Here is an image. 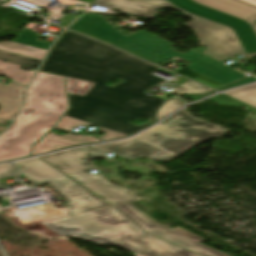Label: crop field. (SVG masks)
<instances>
[{"instance_id":"obj_25","label":"crop field","mask_w":256,"mask_h":256,"mask_svg":"<svg viewBox=\"0 0 256 256\" xmlns=\"http://www.w3.org/2000/svg\"><path fill=\"white\" fill-rule=\"evenodd\" d=\"M41 184H49L52 188H54L61 196H63L61 194V192L58 190V188L56 187V185L54 184L53 181H50V182H46V183H41ZM64 197V196H63ZM65 198V197H64ZM66 199V198H65ZM69 208V207H68Z\"/></svg>"},{"instance_id":"obj_24","label":"crop field","mask_w":256,"mask_h":256,"mask_svg":"<svg viewBox=\"0 0 256 256\" xmlns=\"http://www.w3.org/2000/svg\"><path fill=\"white\" fill-rule=\"evenodd\" d=\"M213 93H215V92H212V93H210V94H208V95H211V94H213ZM208 95H186V96H188V97H190L191 99L197 101V100H199V99H201V98H204V97H206V96H208Z\"/></svg>"},{"instance_id":"obj_10","label":"crop field","mask_w":256,"mask_h":256,"mask_svg":"<svg viewBox=\"0 0 256 256\" xmlns=\"http://www.w3.org/2000/svg\"><path fill=\"white\" fill-rule=\"evenodd\" d=\"M80 125L90 126L91 124L64 116L49 134H47L43 139H41L38 143L35 144L32 155L41 154L76 144L100 141L94 136L72 135L70 133L71 130ZM55 129L67 130L69 133L66 135L59 136L53 132ZM100 131L107 132L103 136H99V138L103 141L128 136L101 127Z\"/></svg>"},{"instance_id":"obj_28","label":"crop field","mask_w":256,"mask_h":256,"mask_svg":"<svg viewBox=\"0 0 256 256\" xmlns=\"http://www.w3.org/2000/svg\"><path fill=\"white\" fill-rule=\"evenodd\" d=\"M133 106H137V107H139V106H142V104H140L139 102L138 103H136L135 105H133Z\"/></svg>"},{"instance_id":"obj_9","label":"crop field","mask_w":256,"mask_h":256,"mask_svg":"<svg viewBox=\"0 0 256 256\" xmlns=\"http://www.w3.org/2000/svg\"><path fill=\"white\" fill-rule=\"evenodd\" d=\"M64 77L38 72L27 93V105L65 113L69 108Z\"/></svg>"},{"instance_id":"obj_29","label":"crop field","mask_w":256,"mask_h":256,"mask_svg":"<svg viewBox=\"0 0 256 256\" xmlns=\"http://www.w3.org/2000/svg\"><path fill=\"white\" fill-rule=\"evenodd\" d=\"M0 256H4V254L2 253V251L0 250Z\"/></svg>"},{"instance_id":"obj_16","label":"crop field","mask_w":256,"mask_h":256,"mask_svg":"<svg viewBox=\"0 0 256 256\" xmlns=\"http://www.w3.org/2000/svg\"><path fill=\"white\" fill-rule=\"evenodd\" d=\"M224 94L256 107V84L224 92Z\"/></svg>"},{"instance_id":"obj_12","label":"crop field","mask_w":256,"mask_h":256,"mask_svg":"<svg viewBox=\"0 0 256 256\" xmlns=\"http://www.w3.org/2000/svg\"><path fill=\"white\" fill-rule=\"evenodd\" d=\"M147 232L204 256H228L225 253L200 244L205 239L179 226L171 229L166 226L157 224Z\"/></svg>"},{"instance_id":"obj_18","label":"crop field","mask_w":256,"mask_h":256,"mask_svg":"<svg viewBox=\"0 0 256 256\" xmlns=\"http://www.w3.org/2000/svg\"><path fill=\"white\" fill-rule=\"evenodd\" d=\"M94 83L66 78V89L70 94L85 96Z\"/></svg>"},{"instance_id":"obj_5","label":"crop field","mask_w":256,"mask_h":256,"mask_svg":"<svg viewBox=\"0 0 256 256\" xmlns=\"http://www.w3.org/2000/svg\"><path fill=\"white\" fill-rule=\"evenodd\" d=\"M59 219L42 222L62 236L82 237L104 245L121 246L131 252L141 246L130 240L143 231L112 207L67 217V209L58 210Z\"/></svg>"},{"instance_id":"obj_20","label":"crop field","mask_w":256,"mask_h":256,"mask_svg":"<svg viewBox=\"0 0 256 256\" xmlns=\"http://www.w3.org/2000/svg\"><path fill=\"white\" fill-rule=\"evenodd\" d=\"M210 91L212 90L189 80L185 84L177 88L175 91H173V93L190 94V93H208Z\"/></svg>"},{"instance_id":"obj_2","label":"crop field","mask_w":256,"mask_h":256,"mask_svg":"<svg viewBox=\"0 0 256 256\" xmlns=\"http://www.w3.org/2000/svg\"><path fill=\"white\" fill-rule=\"evenodd\" d=\"M96 5L152 17L157 8L172 6L195 20L185 24L198 31L204 54L225 60L238 53L256 56V8L236 0H98Z\"/></svg>"},{"instance_id":"obj_23","label":"crop field","mask_w":256,"mask_h":256,"mask_svg":"<svg viewBox=\"0 0 256 256\" xmlns=\"http://www.w3.org/2000/svg\"><path fill=\"white\" fill-rule=\"evenodd\" d=\"M256 81V78L252 77V78H249V79H245V80H241L239 82H236L232 85H229L223 89H220L218 91H223V90H226V89H230V88H233V87H236V86H240V85H244V84H248V83H251V82H254Z\"/></svg>"},{"instance_id":"obj_14","label":"crop field","mask_w":256,"mask_h":256,"mask_svg":"<svg viewBox=\"0 0 256 256\" xmlns=\"http://www.w3.org/2000/svg\"><path fill=\"white\" fill-rule=\"evenodd\" d=\"M131 241L141 245L138 251L148 256H201L146 232Z\"/></svg>"},{"instance_id":"obj_8","label":"crop field","mask_w":256,"mask_h":256,"mask_svg":"<svg viewBox=\"0 0 256 256\" xmlns=\"http://www.w3.org/2000/svg\"><path fill=\"white\" fill-rule=\"evenodd\" d=\"M13 163L32 184L53 180L68 199V216L109 206L38 157Z\"/></svg>"},{"instance_id":"obj_21","label":"crop field","mask_w":256,"mask_h":256,"mask_svg":"<svg viewBox=\"0 0 256 256\" xmlns=\"http://www.w3.org/2000/svg\"><path fill=\"white\" fill-rule=\"evenodd\" d=\"M183 105L185 104H183L180 99L172 97L165 102L161 109L159 108L160 110L158 111L156 118L161 120L162 118Z\"/></svg>"},{"instance_id":"obj_6","label":"crop field","mask_w":256,"mask_h":256,"mask_svg":"<svg viewBox=\"0 0 256 256\" xmlns=\"http://www.w3.org/2000/svg\"><path fill=\"white\" fill-rule=\"evenodd\" d=\"M100 155H103V153L93 147H80L42 156L41 158L65 172L112 206L139 200L129 190L112 186L101 175L89 173L95 168L88 159Z\"/></svg>"},{"instance_id":"obj_13","label":"crop field","mask_w":256,"mask_h":256,"mask_svg":"<svg viewBox=\"0 0 256 256\" xmlns=\"http://www.w3.org/2000/svg\"><path fill=\"white\" fill-rule=\"evenodd\" d=\"M50 45L40 42L38 34L24 28L14 41L0 42V49L42 60Z\"/></svg>"},{"instance_id":"obj_11","label":"crop field","mask_w":256,"mask_h":256,"mask_svg":"<svg viewBox=\"0 0 256 256\" xmlns=\"http://www.w3.org/2000/svg\"><path fill=\"white\" fill-rule=\"evenodd\" d=\"M22 66L0 61V74L8 79L28 85L34 70L29 72L20 69ZM25 87L12 81L6 85L0 83V118L12 121L21 105Z\"/></svg>"},{"instance_id":"obj_19","label":"crop field","mask_w":256,"mask_h":256,"mask_svg":"<svg viewBox=\"0 0 256 256\" xmlns=\"http://www.w3.org/2000/svg\"><path fill=\"white\" fill-rule=\"evenodd\" d=\"M209 100L219 104V105H231V106H243L246 108V110L255 113L256 114V108H253L245 103H242L238 100H235L233 98L227 97L225 95L219 94L216 96H213L211 98H208Z\"/></svg>"},{"instance_id":"obj_7","label":"crop field","mask_w":256,"mask_h":256,"mask_svg":"<svg viewBox=\"0 0 256 256\" xmlns=\"http://www.w3.org/2000/svg\"><path fill=\"white\" fill-rule=\"evenodd\" d=\"M62 115L24 105L13 126L0 136V162L30 155L32 145L48 133Z\"/></svg>"},{"instance_id":"obj_1","label":"crop field","mask_w":256,"mask_h":256,"mask_svg":"<svg viewBox=\"0 0 256 256\" xmlns=\"http://www.w3.org/2000/svg\"><path fill=\"white\" fill-rule=\"evenodd\" d=\"M155 68L114 48L66 32L41 70L96 82L85 97L68 94L71 108L66 116L130 135L152 123L164 101L144 94L155 85L151 74ZM111 78L124 81L113 87L105 85ZM138 101L144 106H131ZM142 116L152 121L139 126L130 123Z\"/></svg>"},{"instance_id":"obj_17","label":"crop field","mask_w":256,"mask_h":256,"mask_svg":"<svg viewBox=\"0 0 256 256\" xmlns=\"http://www.w3.org/2000/svg\"><path fill=\"white\" fill-rule=\"evenodd\" d=\"M0 60L34 68V69H37L38 65L41 63L40 60L28 58L25 56L13 54V53L2 51V50H0Z\"/></svg>"},{"instance_id":"obj_27","label":"crop field","mask_w":256,"mask_h":256,"mask_svg":"<svg viewBox=\"0 0 256 256\" xmlns=\"http://www.w3.org/2000/svg\"><path fill=\"white\" fill-rule=\"evenodd\" d=\"M242 1L247 2V3H250V4L256 6V0H242ZM255 23H256V22H255Z\"/></svg>"},{"instance_id":"obj_26","label":"crop field","mask_w":256,"mask_h":256,"mask_svg":"<svg viewBox=\"0 0 256 256\" xmlns=\"http://www.w3.org/2000/svg\"><path fill=\"white\" fill-rule=\"evenodd\" d=\"M158 69V68H157ZM156 70V69H155ZM154 71V70H153ZM152 71V72H153ZM153 80H154V83L155 84H161V83H163V82H165L164 80H162V79H160V78H157V77H155V76H153Z\"/></svg>"},{"instance_id":"obj_4","label":"crop field","mask_w":256,"mask_h":256,"mask_svg":"<svg viewBox=\"0 0 256 256\" xmlns=\"http://www.w3.org/2000/svg\"><path fill=\"white\" fill-rule=\"evenodd\" d=\"M228 131L199 120L182 109L131 139L96 147L126 159L147 156L150 159L167 161L210 137L218 138Z\"/></svg>"},{"instance_id":"obj_3","label":"crop field","mask_w":256,"mask_h":256,"mask_svg":"<svg viewBox=\"0 0 256 256\" xmlns=\"http://www.w3.org/2000/svg\"><path fill=\"white\" fill-rule=\"evenodd\" d=\"M69 28L108 44L116 45L155 64L178 56L192 63L186 68L221 84H228L246 77L243 73L197 52L189 51L180 54L172 49L170 42L149 32L139 31L127 37L100 16L86 14Z\"/></svg>"},{"instance_id":"obj_15","label":"crop field","mask_w":256,"mask_h":256,"mask_svg":"<svg viewBox=\"0 0 256 256\" xmlns=\"http://www.w3.org/2000/svg\"><path fill=\"white\" fill-rule=\"evenodd\" d=\"M114 207L145 231L157 224L130 203Z\"/></svg>"},{"instance_id":"obj_22","label":"crop field","mask_w":256,"mask_h":256,"mask_svg":"<svg viewBox=\"0 0 256 256\" xmlns=\"http://www.w3.org/2000/svg\"><path fill=\"white\" fill-rule=\"evenodd\" d=\"M18 175L17 170L14 168L11 164H2L0 165V179L1 178H7V177H13ZM0 188H2L0 184Z\"/></svg>"}]
</instances>
